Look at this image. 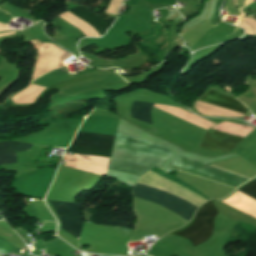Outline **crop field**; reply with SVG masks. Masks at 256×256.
Wrapping results in <instances>:
<instances>
[{"label": "crop field", "mask_w": 256, "mask_h": 256, "mask_svg": "<svg viewBox=\"0 0 256 256\" xmlns=\"http://www.w3.org/2000/svg\"><path fill=\"white\" fill-rule=\"evenodd\" d=\"M113 146L165 160L171 158L173 155V151L170 149L146 141H142L118 132L116 133V138ZM114 147L108 167L110 169L142 176L147 171L152 169L154 165L162 168L165 162V160L141 155L138 153Z\"/></svg>", "instance_id": "obj_1"}, {"label": "crop field", "mask_w": 256, "mask_h": 256, "mask_svg": "<svg viewBox=\"0 0 256 256\" xmlns=\"http://www.w3.org/2000/svg\"><path fill=\"white\" fill-rule=\"evenodd\" d=\"M217 213L212 201L209 200L197 210L195 217L189 224L169 234L182 236L190 240L192 245L202 242L212 234L214 218Z\"/></svg>", "instance_id": "obj_2"}, {"label": "crop field", "mask_w": 256, "mask_h": 256, "mask_svg": "<svg viewBox=\"0 0 256 256\" xmlns=\"http://www.w3.org/2000/svg\"><path fill=\"white\" fill-rule=\"evenodd\" d=\"M133 196L164 206L188 219L189 221L197 208L193 204L167 191L159 190L139 183H137L133 189Z\"/></svg>", "instance_id": "obj_3"}, {"label": "crop field", "mask_w": 256, "mask_h": 256, "mask_svg": "<svg viewBox=\"0 0 256 256\" xmlns=\"http://www.w3.org/2000/svg\"><path fill=\"white\" fill-rule=\"evenodd\" d=\"M172 168L202 176L211 180H215L233 187H238L240 184L248 181L249 179L231 174L229 172L214 168L208 164L190 160L178 156Z\"/></svg>", "instance_id": "obj_4"}, {"label": "crop field", "mask_w": 256, "mask_h": 256, "mask_svg": "<svg viewBox=\"0 0 256 256\" xmlns=\"http://www.w3.org/2000/svg\"><path fill=\"white\" fill-rule=\"evenodd\" d=\"M115 136L77 132L67 150L73 153L110 157Z\"/></svg>", "instance_id": "obj_5"}, {"label": "crop field", "mask_w": 256, "mask_h": 256, "mask_svg": "<svg viewBox=\"0 0 256 256\" xmlns=\"http://www.w3.org/2000/svg\"><path fill=\"white\" fill-rule=\"evenodd\" d=\"M70 12L74 13L82 20L88 22L101 36L115 21L114 18L103 19L100 16L93 14L89 10L80 6L70 10ZM55 22L58 25V31L70 36L76 43L79 39L85 37L77 28L72 26L60 16L55 19Z\"/></svg>", "instance_id": "obj_6"}, {"label": "crop field", "mask_w": 256, "mask_h": 256, "mask_svg": "<svg viewBox=\"0 0 256 256\" xmlns=\"http://www.w3.org/2000/svg\"><path fill=\"white\" fill-rule=\"evenodd\" d=\"M49 202L54 207L62 222V229L75 237H79L83 222L81 205L67 202Z\"/></svg>", "instance_id": "obj_7"}, {"label": "crop field", "mask_w": 256, "mask_h": 256, "mask_svg": "<svg viewBox=\"0 0 256 256\" xmlns=\"http://www.w3.org/2000/svg\"><path fill=\"white\" fill-rule=\"evenodd\" d=\"M241 140L242 138L210 129L205 133L200 147L227 153L232 151Z\"/></svg>", "instance_id": "obj_8"}, {"label": "crop field", "mask_w": 256, "mask_h": 256, "mask_svg": "<svg viewBox=\"0 0 256 256\" xmlns=\"http://www.w3.org/2000/svg\"><path fill=\"white\" fill-rule=\"evenodd\" d=\"M199 101H203L209 104H213V105L223 107L229 110H233L239 113H243V114L247 112L244 109V107L235 99L222 95L213 90H210L205 96L201 97Z\"/></svg>", "instance_id": "obj_9"}, {"label": "crop field", "mask_w": 256, "mask_h": 256, "mask_svg": "<svg viewBox=\"0 0 256 256\" xmlns=\"http://www.w3.org/2000/svg\"><path fill=\"white\" fill-rule=\"evenodd\" d=\"M31 145L16 143V142H2L0 143V154L17 152V151H27ZM18 162L14 153L0 155V165L16 163Z\"/></svg>", "instance_id": "obj_10"}, {"label": "crop field", "mask_w": 256, "mask_h": 256, "mask_svg": "<svg viewBox=\"0 0 256 256\" xmlns=\"http://www.w3.org/2000/svg\"><path fill=\"white\" fill-rule=\"evenodd\" d=\"M152 106L153 104L134 101L131 116L135 119L152 123L150 119V110Z\"/></svg>", "instance_id": "obj_11"}, {"label": "crop field", "mask_w": 256, "mask_h": 256, "mask_svg": "<svg viewBox=\"0 0 256 256\" xmlns=\"http://www.w3.org/2000/svg\"><path fill=\"white\" fill-rule=\"evenodd\" d=\"M238 191L256 199V181H252L251 183L239 189Z\"/></svg>", "instance_id": "obj_12"}, {"label": "crop field", "mask_w": 256, "mask_h": 256, "mask_svg": "<svg viewBox=\"0 0 256 256\" xmlns=\"http://www.w3.org/2000/svg\"><path fill=\"white\" fill-rule=\"evenodd\" d=\"M221 2H222V0H217V2H216V9H215V12H214V14H213V16H212V19H211V22H212L213 26H214L218 21H220V20H219V16H218V10H219V7H220V5H221Z\"/></svg>", "instance_id": "obj_13"}, {"label": "crop field", "mask_w": 256, "mask_h": 256, "mask_svg": "<svg viewBox=\"0 0 256 256\" xmlns=\"http://www.w3.org/2000/svg\"><path fill=\"white\" fill-rule=\"evenodd\" d=\"M252 15L256 16V13H254V14H252Z\"/></svg>", "instance_id": "obj_14"}, {"label": "crop field", "mask_w": 256, "mask_h": 256, "mask_svg": "<svg viewBox=\"0 0 256 256\" xmlns=\"http://www.w3.org/2000/svg\"><path fill=\"white\" fill-rule=\"evenodd\" d=\"M12 31H16V30H12Z\"/></svg>", "instance_id": "obj_15"}]
</instances>
